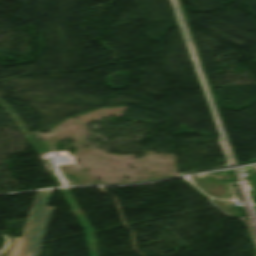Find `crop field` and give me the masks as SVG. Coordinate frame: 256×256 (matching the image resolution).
Returning <instances> with one entry per match:
<instances>
[{
	"mask_svg": "<svg viewBox=\"0 0 256 256\" xmlns=\"http://www.w3.org/2000/svg\"><path fill=\"white\" fill-rule=\"evenodd\" d=\"M53 190L39 192L22 238H14L7 256H37L54 207H47Z\"/></svg>",
	"mask_w": 256,
	"mask_h": 256,
	"instance_id": "obj_1",
	"label": "crop field"
}]
</instances>
